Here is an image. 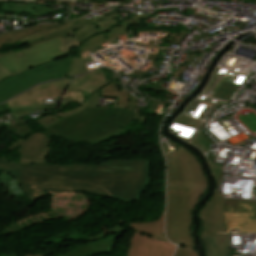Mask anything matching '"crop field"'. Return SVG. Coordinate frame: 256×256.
Segmentation results:
<instances>
[{"label": "crop field", "mask_w": 256, "mask_h": 256, "mask_svg": "<svg viewBox=\"0 0 256 256\" xmlns=\"http://www.w3.org/2000/svg\"><path fill=\"white\" fill-rule=\"evenodd\" d=\"M150 170L151 162L146 159L57 166L46 162L10 164L6 157H0V172L13 173L33 202L76 192L136 202L148 187Z\"/></svg>", "instance_id": "8a807250"}, {"label": "crop field", "mask_w": 256, "mask_h": 256, "mask_svg": "<svg viewBox=\"0 0 256 256\" xmlns=\"http://www.w3.org/2000/svg\"><path fill=\"white\" fill-rule=\"evenodd\" d=\"M168 164L166 234L180 246H194L189 234L191 211L206 191L208 182L197 157L181 146L172 158H168Z\"/></svg>", "instance_id": "ac0d7876"}, {"label": "crop field", "mask_w": 256, "mask_h": 256, "mask_svg": "<svg viewBox=\"0 0 256 256\" xmlns=\"http://www.w3.org/2000/svg\"><path fill=\"white\" fill-rule=\"evenodd\" d=\"M78 45L75 37L50 40L1 57L0 65L15 75L40 63L60 58L67 50Z\"/></svg>", "instance_id": "34b2d1b8"}, {"label": "crop field", "mask_w": 256, "mask_h": 256, "mask_svg": "<svg viewBox=\"0 0 256 256\" xmlns=\"http://www.w3.org/2000/svg\"><path fill=\"white\" fill-rule=\"evenodd\" d=\"M118 15L119 13L114 10L96 20H86L83 18L82 20L78 19L67 23H59L24 39L18 40V42L22 45L29 43L33 46L37 43L54 38L76 36L80 44L85 38L103 32L108 27L117 23L118 21H114L112 18Z\"/></svg>", "instance_id": "412701ff"}, {"label": "crop field", "mask_w": 256, "mask_h": 256, "mask_svg": "<svg viewBox=\"0 0 256 256\" xmlns=\"http://www.w3.org/2000/svg\"><path fill=\"white\" fill-rule=\"evenodd\" d=\"M70 65L71 57L45 63L29 69L23 74L3 80L0 82V102L17 95L39 82L48 81L51 77L53 79L66 77Z\"/></svg>", "instance_id": "f4fd0767"}, {"label": "crop field", "mask_w": 256, "mask_h": 256, "mask_svg": "<svg viewBox=\"0 0 256 256\" xmlns=\"http://www.w3.org/2000/svg\"><path fill=\"white\" fill-rule=\"evenodd\" d=\"M230 229L256 233V201L224 199L222 232Z\"/></svg>", "instance_id": "dd49c442"}, {"label": "crop field", "mask_w": 256, "mask_h": 256, "mask_svg": "<svg viewBox=\"0 0 256 256\" xmlns=\"http://www.w3.org/2000/svg\"><path fill=\"white\" fill-rule=\"evenodd\" d=\"M50 140V138L34 131L26 140L18 139L6 149V152L20 145L21 147L17 151V153L21 154L20 158H18L20 163L44 162L50 147L47 151L44 149L48 146Z\"/></svg>", "instance_id": "e52e79f7"}, {"label": "crop field", "mask_w": 256, "mask_h": 256, "mask_svg": "<svg viewBox=\"0 0 256 256\" xmlns=\"http://www.w3.org/2000/svg\"><path fill=\"white\" fill-rule=\"evenodd\" d=\"M175 250L176 246L173 244L158 242L141 233H135L127 256H173Z\"/></svg>", "instance_id": "d8731c3e"}, {"label": "crop field", "mask_w": 256, "mask_h": 256, "mask_svg": "<svg viewBox=\"0 0 256 256\" xmlns=\"http://www.w3.org/2000/svg\"><path fill=\"white\" fill-rule=\"evenodd\" d=\"M217 185L215 194L207 202L200 213L203 228L200 235L213 236L216 232H221V221L223 213V196L220 195Z\"/></svg>", "instance_id": "5a996713"}, {"label": "crop field", "mask_w": 256, "mask_h": 256, "mask_svg": "<svg viewBox=\"0 0 256 256\" xmlns=\"http://www.w3.org/2000/svg\"><path fill=\"white\" fill-rule=\"evenodd\" d=\"M201 238L208 256H228L230 250L228 234H217L213 237L201 236Z\"/></svg>", "instance_id": "3316defc"}, {"label": "crop field", "mask_w": 256, "mask_h": 256, "mask_svg": "<svg viewBox=\"0 0 256 256\" xmlns=\"http://www.w3.org/2000/svg\"><path fill=\"white\" fill-rule=\"evenodd\" d=\"M114 238L116 237H114V235H111L105 240H102V241L100 240L92 244L87 243V244L77 245L78 248L73 250L69 254L71 256H89V255H94L102 252L111 253L112 250L110 249V246L113 245V243H111V240Z\"/></svg>", "instance_id": "28ad6ade"}, {"label": "crop field", "mask_w": 256, "mask_h": 256, "mask_svg": "<svg viewBox=\"0 0 256 256\" xmlns=\"http://www.w3.org/2000/svg\"><path fill=\"white\" fill-rule=\"evenodd\" d=\"M163 219L164 213L156 221L130 223V226L137 232L148 234L157 240L167 241L164 235Z\"/></svg>", "instance_id": "d1516ede"}, {"label": "crop field", "mask_w": 256, "mask_h": 256, "mask_svg": "<svg viewBox=\"0 0 256 256\" xmlns=\"http://www.w3.org/2000/svg\"><path fill=\"white\" fill-rule=\"evenodd\" d=\"M52 25H54V24H52ZM49 26H51V25H40V26L31 27V28H28V29H25V30L10 31V32L3 33L0 36V49L4 46L8 45V44H16V43H18L16 40L24 38L28 35H31L35 32H38L42 29H45ZM11 52H14V51H10V52H7L5 54H2L0 52V57L4 56V55H7Z\"/></svg>", "instance_id": "22f410ed"}, {"label": "crop field", "mask_w": 256, "mask_h": 256, "mask_svg": "<svg viewBox=\"0 0 256 256\" xmlns=\"http://www.w3.org/2000/svg\"><path fill=\"white\" fill-rule=\"evenodd\" d=\"M148 17L147 15H132L124 18L122 21L115 26L108 29L106 32L107 41L121 35L125 34L128 30V26L130 25H139L140 21Z\"/></svg>", "instance_id": "cbeb9de0"}, {"label": "crop field", "mask_w": 256, "mask_h": 256, "mask_svg": "<svg viewBox=\"0 0 256 256\" xmlns=\"http://www.w3.org/2000/svg\"><path fill=\"white\" fill-rule=\"evenodd\" d=\"M130 131L125 127H121L119 129H116L114 131H111L107 134H104V135H101V136H98L94 139H91V140H88L86 142H82L80 144H85V145H95V144H99V143H103V142H106V141H110V140H113L117 137H120V136H123L127 133H129Z\"/></svg>", "instance_id": "5142ce71"}, {"label": "crop field", "mask_w": 256, "mask_h": 256, "mask_svg": "<svg viewBox=\"0 0 256 256\" xmlns=\"http://www.w3.org/2000/svg\"><path fill=\"white\" fill-rule=\"evenodd\" d=\"M105 33L95 35L87 40H85L80 47V54L82 55L84 52L88 51L89 49L105 42Z\"/></svg>", "instance_id": "d9b57169"}, {"label": "crop field", "mask_w": 256, "mask_h": 256, "mask_svg": "<svg viewBox=\"0 0 256 256\" xmlns=\"http://www.w3.org/2000/svg\"><path fill=\"white\" fill-rule=\"evenodd\" d=\"M85 72H87V71H86L81 59L72 57V66L68 72L67 77L74 76L77 74H83Z\"/></svg>", "instance_id": "733c2abd"}, {"label": "crop field", "mask_w": 256, "mask_h": 256, "mask_svg": "<svg viewBox=\"0 0 256 256\" xmlns=\"http://www.w3.org/2000/svg\"><path fill=\"white\" fill-rule=\"evenodd\" d=\"M194 247H179L175 256H198Z\"/></svg>", "instance_id": "4a817a6b"}, {"label": "crop field", "mask_w": 256, "mask_h": 256, "mask_svg": "<svg viewBox=\"0 0 256 256\" xmlns=\"http://www.w3.org/2000/svg\"><path fill=\"white\" fill-rule=\"evenodd\" d=\"M113 228H111V229H109V230H107L108 232L107 233H105V234H102V235H98L97 237H89V238H87V239H84V240H93V239H98V238H100V237H102V236H104V235H107V234H110V233H113V232H117V233H125V231H122V227H121V225L120 224H117V225H114V226H112ZM97 235V234H96ZM82 241V240H81Z\"/></svg>", "instance_id": "bc2a9ffb"}, {"label": "crop field", "mask_w": 256, "mask_h": 256, "mask_svg": "<svg viewBox=\"0 0 256 256\" xmlns=\"http://www.w3.org/2000/svg\"><path fill=\"white\" fill-rule=\"evenodd\" d=\"M0 1L35 2V0H0ZM53 1L75 2V0H53Z\"/></svg>", "instance_id": "214f88e0"}, {"label": "crop field", "mask_w": 256, "mask_h": 256, "mask_svg": "<svg viewBox=\"0 0 256 256\" xmlns=\"http://www.w3.org/2000/svg\"><path fill=\"white\" fill-rule=\"evenodd\" d=\"M11 76V74H9L5 69H3L1 66H0V80L6 78V77H9Z\"/></svg>", "instance_id": "92a150f3"}, {"label": "crop field", "mask_w": 256, "mask_h": 256, "mask_svg": "<svg viewBox=\"0 0 256 256\" xmlns=\"http://www.w3.org/2000/svg\"><path fill=\"white\" fill-rule=\"evenodd\" d=\"M26 256H43V255L30 254V255H26Z\"/></svg>", "instance_id": "dafd665d"}, {"label": "crop field", "mask_w": 256, "mask_h": 256, "mask_svg": "<svg viewBox=\"0 0 256 256\" xmlns=\"http://www.w3.org/2000/svg\"><path fill=\"white\" fill-rule=\"evenodd\" d=\"M5 256H16V255H14V254H7V255H5Z\"/></svg>", "instance_id": "00972430"}]
</instances>
